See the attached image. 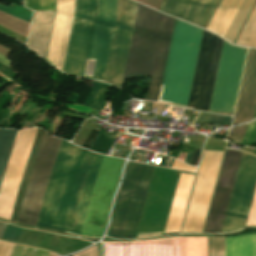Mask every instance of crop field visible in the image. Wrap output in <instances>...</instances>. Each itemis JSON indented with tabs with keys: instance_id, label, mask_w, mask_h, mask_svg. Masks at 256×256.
I'll use <instances>...</instances> for the list:
<instances>
[{
	"instance_id": "1",
	"label": "crop field",
	"mask_w": 256,
	"mask_h": 256,
	"mask_svg": "<svg viewBox=\"0 0 256 256\" xmlns=\"http://www.w3.org/2000/svg\"><path fill=\"white\" fill-rule=\"evenodd\" d=\"M202 29L176 21L159 100L186 106ZM223 40L204 31L187 107L209 109Z\"/></svg>"
},
{
	"instance_id": "2",
	"label": "crop field",
	"mask_w": 256,
	"mask_h": 256,
	"mask_svg": "<svg viewBox=\"0 0 256 256\" xmlns=\"http://www.w3.org/2000/svg\"><path fill=\"white\" fill-rule=\"evenodd\" d=\"M162 17V14L137 4L123 81L133 76H151ZM174 21V18L163 17L151 84L144 99H158Z\"/></svg>"
},
{
	"instance_id": "3",
	"label": "crop field",
	"mask_w": 256,
	"mask_h": 256,
	"mask_svg": "<svg viewBox=\"0 0 256 256\" xmlns=\"http://www.w3.org/2000/svg\"><path fill=\"white\" fill-rule=\"evenodd\" d=\"M88 152L62 141L37 226L66 230Z\"/></svg>"
},
{
	"instance_id": "4",
	"label": "crop field",
	"mask_w": 256,
	"mask_h": 256,
	"mask_svg": "<svg viewBox=\"0 0 256 256\" xmlns=\"http://www.w3.org/2000/svg\"><path fill=\"white\" fill-rule=\"evenodd\" d=\"M153 168L133 162L126 164L108 236L135 237Z\"/></svg>"
},
{
	"instance_id": "5",
	"label": "crop field",
	"mask_w": 256,
	"mask_h": 256,
	"mask_svg": "<svg viewBox=\"0 0 256 256\" xmlns=\"http://www.w3.org/2000/svg\"><path fill=\"white\" fill-rule=\"evenodd\" d=\"M123 162L103 157L80 235L101 237Z\"/></svg>"
},
{
	"instance_id": "6",
	"label": "crop field",
	"mask_w": 256,
	"mask_h": 256,
	"mask_svg": "<svg viewBox=\"0 0 256 256\" xmlns=\"http://www.w3.org/2000/svg\"><path fill=\"white\" fill-rule=\"evenodd\" d=\"M102 256H207V237L103 242Z\"/></svg>"
},
{
	"instance_id": "7",
	"label": "crop field",
	"mask_w": 256,
	"mask_h": 256,
	"mask_svg": "<svg viewBox=\"0 0 256 256\" xmlns=\"http://www.w3.org/2000/svg\"><path fill=\"white\" fill-rule=\"evenodd\" d=\"M60 140L49 137L47 132H44L17 222L36 225Z\"/></svg>"
},
{
	"instance_id": "8",
	"label": "crop field",
	"mask_w": 256,
	"mask_h": 256,
	"mask_svg": "<svg viewBox=\"0 0 256 256\" xmlns=\"http://www.w3.org/2000/svg\"><path fill=\"white\" fill-rule=\"evenodd\" d=\"M246 52L223 43L209 111L233 112Z\"/></svg>"
},
{
	"instance_id": "9",
	"label": "crop field",
	"mask_w": 256,
	"mask_h": 256,
	"mask_svg": "<svg viewBox=\"0 0 256 256\" xmlns=\"http://www.w3.org/2000/svg\"><path fill=\"white\" fill-rule=\"evenodd\" d=\"M136 3L118 0L117 17L109 50L104 82L121 86L130 37L135 18Z\"/></svg>"
},
{
	"instance_id": "10",
	"label": "crop field",
	"mask_w": 256,
	"mask_h": 256,
	"mask_svg": "<svg viewBox=\"0 0 256 256\" xmlns=\"http://www.w3.org/2000/svg\"><path fill=\"white\" fill-rule=\"evenodd\" d=\"M255 186L256 157L244 152L221 233L245 227Z\"/></svg>"
},
{
	"instance_id": "11",
	"label": "crop field",
	"mask_w": 256,
	"mask_h": 256,
	"mask_svg": "<svg viewBox=\"0 0 256 256\" xmlns=\"http://www.w3.org/2000/svg\"><path fill=\"white\" fill-rule=\"evenodd\" d=\"M117 0H97V16L95 20L94 30L90 43L89 53L84 75L92 77L95 63V71L93 78L102 81L105 70L108 50L110 46L113 26L116 17Z\"/></svg>"
},
{
	"instance_id": "12",
	"label": "crop field",
	"mask_w": 256,
	"mask_h": 256,
	"mask_svg": "<svg viewBox=\"0 0 256 256\" xmlns=\"http://www.w3.org/2000/svg\"><path fill=\"white\" fill-rule=\"evenodd\" d=\"M240 151L226 150L203 233H220L242 157Z\"/></svg>"
},
{
	"instance_id": "13",
	"label": "crop field",
	"mask_w": 256,
	"mask_h": 256,
	"mask_svg": "<svg viewBox=\"0 0 256 256\" xmlns=\"http://www.w3.org/2000/svg\"><path fill=\"white\" fill-rule=\"evenodd\" d=\"M95 0H77L76 15L65 65V73L82 75L89 41Z\"/></svg>"
},
{
	"instance_id": "14",
	"label": "crop field",
	"mask_w": 256,
	"mask_h": 256,
	"mask_svg": "<svg viewBox=\"0 0 256 256\" xmlns=\"http://www.w3.org/2000/svg\"><path fill=\"white\" fill-rule=\"evenodd\" d=\"M102 155L89 152L86 165L74 199L67 232L80 234L88 200L96 179V175L102 160Z\"/></svg>"
},
{
	"instance_id": "15",
	"label": "crop field",
	"mask_w": 256,
	"mask_h": 256,
	"mask_svg": "<svg viewBox=\"0 0 256 256\" xmlns=\"http://www.w3.org/2000/svg\"><path fill=\"white\" fill-rule=\"evenodd\" d=\"M56 0H24V5L33 10H55ZM55 11H35L28 47L45 57Z\"/></svg>"
},
{
	"instance_id": "16",
	"label": "crop field",
	"mask_w": 256,
	"mask_h": 256,
	"mask_svg": "<svg viewBox=\"0 0 256 256\" xmlns=\"http://www.w3.org/2000/svg\"><path fill=\"white\" fill-rule=\"evenodd\" d=\"M219 0H164L160 11L205 28Z\"/></svg>"
},
{
	"instance_id": "17",
	"label": "crop field",
	"mask_w": 256,
	"mask_h": 256,
	"mask_svg": "<svg viewBox=\"0 0 256 256\" xmlns=\"http://www.w3.org/2000/svg\"><path fill=\"white\" fill-rule=\"evenodd\" d=\"M241 2L242 0H222L207 30L213 31L223 37Z\"/></svg>"
},
{
	"instance_id": "18",
	"label": "crop field",
	"mask_w": 256,
	"mask_h": 256,
	"mask_svg": "<svg viewBox=\"0 0 256 256\" xmlns=\"http://www.w3.org/2000/svg\"><path fill=\"white\" fill-rule=\"evenodd\" d=\"M225 256H256V234L225 237Z\"/></svg>"
},
{
	"instance_id": "19",
	"label": "crop field",
	"mask_w": 256,
	"mask_h": 256,
	"mask_svg": "<svg viewBox=\"0 0 256 256\" xmlns=\"http://www.w3.org/2000/svg\"><path fill=\"white\" fill-rule=\"evenodd\" d=\"M43 132H44V130H42L40 128L37 129L36 136H35L32 148H31V152H30V155H29V158L27 161V165H26L23 177H22L21 184H20L18 196H17L16 202H15V206H14V209L12 212L11 219H10L11 221H15V222L17 221V217H18L19 210L21 207V203H22V199H23L24 192L26 189L27 181H28L35 157H36V153H37Z\"/></svg>"
},
{
	"instance_id": "20",
	"label": "crop field",
	"mask_w": 256,
	"mask_h": 256,
	"mask_svg": "<svg viewBox=\"0 0 256 256\" xmlns=\"http://www.w3.org/2000/svg\"><path fill=\"white\" fill-rule=\"evenodd\" d=\"M18 130L0 129V183Z\"/></svg>"
},
{
	"instance_id": "21",
	"label": "crop field",
	"mask_w": 256,
	"mask_h": 256,
	"mask_svg": "<svg viewBox=\"0 0 256 256\" xmlns=\"http://www.w3.org/2000/svg\"><path fill=\"white\" fill-rule=\"evenodd\" d=\"M256 0H244L241 4L236 16L230 24L224 38L228 39L233 43L237 33L239 32L242 24L244 23L248 13L250 12L253 4Z\"/></svg>"
},
{
	"instance_id": "22",
	"label": "crop field",
	"mask_w": 256,
	"mask_h": 256,
	"mask_svg": "<svg viewBox=\"0 0 256 256\" xmlns=\"http://www.w3.org/2000/svg\"><path fill=\"white\" fill-rule=\"evenodd\" d=\"M236 44L256 48V6L251 16L249 17L243 31L241 32Z\"/></svg>"
},
{
	"instance_id": "23",
	"label": "crop field",
	"mask_w": 256,
	"mask_h": 256,
	"mask_svg": "<svg viewBox=\"0 0 256 256\" xmlns=\"http://www.w3.org/2000/svg\"><path fill=\"white\" fill-rule=\"evenodd\" d=\"M106 87V84L96 82L94 83V87L91 91L90 96L85 101L83 105L89 106L94 109H100L104 107L107 99L103 93L104 89Z\"/></svg>"
},
{
	"instance_id": "24",
	"label": "crop field",
	"mask_w": 256,
	"mask_h": 256,
	"mask_svg": "<svg viewBox=\"0 0 256 256\" xmlns=\"http://www.w3.org/2000/svg\"><path fill=\"white\" fill-rule=\"evenodd\" d=\"M49 252L16 245L11 256H48Z\"/></svg>"
},
{
	"instance_id": "25",
	"label": "crop field",
	"mask_w": 256,
	"mask_h": 256,
	"mask_svg": "<svg viewBox=\"0 0 256 256\" xmlns=\"http://www.w3.org/2000/svg\"><path fill=\"white\" fill-rule=\"evenodd\" d=\"M209 256H224V237H210Z\"/></svg>"
},
{
	"instance_id": "26",
	"label": "crop field",
	"mask_w": 256,
	"mask_h": 256,
	"mask_svg": "<svg viewBox=\"0 0 256 256\" xmlns=\"http://www.w3.org/2000/svg\"><path fill=\"white\" fill-rule=\"evenodd\" d=\"M22 230V228L8 224L2 238L17 242Z\"/></svg>"
},
{
	"instance_id": "27",
	"label": "crop field",
	"mask_w": 256,
	"mask_h": 256,
	"mask_svg": "<svg viewBox=\"0 0 256 256\" xmlns=\"http://www.w3.org/2000/svg\"><path fill=\"white\" fill-rule=\"evenodd\" d=\"M15 245L0 242V256H10Z\"/></svg>"
},
{
	"instance_id": "28",
	"label": "crop field",
	"mask_w": 256,
	"mask_h": 256,
	"mask_svg": "<svg viewBox=\"0 0 256 256\" xmlns=\"http://www.w3.org/2000/svg\"><path fill=\"white\" fill-rule=\"evenodd\" d=\"M200 151L201 150L195 149V151H194V153H192V155H191V153H188L187 156H186L185 162L186 163L189 162V158H190V155H191V159H190L189 164L197 166L199 155H200Z\"/></svg>"
},
{
	"instance_id": "29",
	"label": "crop field",
	"mask_w": 256,
	"mask_h": 256,
	"mask_svg": "<svg viewBox=\"0 0 256 256\" xmlns=\"http://www.w3.org/2000/svg\"><path fill=\"white\" fill-rule=\"evenodd\" d=\"M73 256H98L96 245L90 247L80 253L74 254Z\"/></svg>"
},
{
	"instance_id": "30",
	"label": "crop field",
	"mask_w": 256,
	"mask_h": 256,
	"mask_svg": "<svg viewBox=\"0 0 256 256\" xmlns=\"http://www.w3.org/2000/svg\"><path fill=\"white\" fill-rule=\"evenodd\" d=\"M97 134H98V131L92 129V131L90 132L89 136L85 140V142L83 144V147L88 149V147L90 146V144L92 143V141L94 140V138L96 137Z\"/></svg>"
},
{
	"instance_id": "31",
	"label": "crop field",
	"mask_w": 256,
	"mask_h": 256,
	"mask_svg": "<svg viewBox=\"0 0 256 256\" xmlns=\"http://www.w3.org/2000/svg\"><path fill=\"white\" fill-rule=\"evenodd\" d=\"M223 117H224V116L212 114L209 123L221 125V124H222Z\"/></svg>"
},
{
	"instance_id": "32",
	"label": "crop field",
	"mask_w": 256,
	"mask_h": 256,
	"mask_svg": "<svg viewBox=\"0 0 256 256\" xmlns=\"http://www.w3.org/2000/svg\"><path fill=\"white\" fill-rule=\"evenodd\" d=\"M167 159H168L167 157H164V156H163L159 166L165 167V166H166ZM173 161H174V160L172 159V160H171L170 167H172Z\"/></svg>"
},
{
	"instance_id": "33",
	"label": "crop field",
	"mask_w": 256,
	"mask_h": 256,
	"mask_svg": "<svg viewBox=\"0 0 256 256\" xmlns=\"http://www.w3.org/2000/svg\"><path fill=\"white\" fill-rule=\"evenodd\" d=\"M0 62L5 64L6 66L10 67V60L4 58L3 56L0 55Z\"/></svg>"
},
{
	"instance_id": "34",
	"label": "crop field",
	"mask_w": 256,
	"mask_h": 256,
	"mask_svg": "<svg viewBox=\"0 0 256 256\" xmlns=\"http://www.w3.org/2000/svg\"><path fill=\"white\" fill-rule=\"evenodd\" d=\"M125 152H126V150H120V149H119L118 153L116 154V157L123 158Z\"/></svg>"
},
{
	"instance_id": "35",
	"label": "crop field",
	"mask_w": 256,
	"mask_h": 256,
	"mask_svg": "<svg viewBox=\"0 0 256 256\" xmlns=\"http://www.w3.org/2000/svg\"><path fill=\"white\" fill-rule=\"evenodd\" d=\"M230 120H231V117L225 116V117H224L223 124H228V123H230ZM223 124H222V125H223Z\"/></svg>"
},
{
	"instance_id": "36",
	"label": "crop field",
	"mask_w": 256,
	"mask_h": 256,
	"mask_svg": "<svg viewBox=\"0 0 256 256\" xmlns=\"http://www.w3.org/2000/svg\"><path fill=\"white\" fill-rule=\"evenodd\" d=\"M181 173H184V172H181ZM184 174H191V175H195V174H192V173H184ZM171 234H178V233H171ZM164 235H167V234H164Z\"/></svg>"
},
{
	"instance_id": "37",
	"label": "crop field",
	"mask_w": 256,
	"mask_h": 256,
	"mask_svg": "<svg viewBox=\"0 0 256 256\" xmlns=\"http://www.w3.org/2000/svg\"><path fill=\"white\" fill-rule=\"evenodd\" d=\"M130 103H131V102H129V103L127 104V107H126V109H125V110H127V109H128V107H129Z\"/></svg>"
},
{
	"instance_id": "38",
	"label": "crop field",
	"mask_w": 256,
	"mask_h": 256,
	"mask_svg": "<svg viewBox=\"0 0 256 256\" xmlns=\"http://www.w3.org/2000/svg\"><path fill=\"white\" fill-rule=\"evenodd\" d=\"M256 117V108H255V113H254V117L253 118H255Z\"/></svg>"
},
{
	"instance_id": "39",
	"label": "crop field",
	"mask_w": 256,
	"mask_h": 256,
	"mask_svg": "<svg viewBox=\"0 0 256 256\" xmlns=\"http://www.w3.org/2000/svg\"><path fill=\"white\" fill-rule=\"evenodd\" d=\"M254 142H256V139H255V141Z\"/></svg>"
},
{
	"instance_id": "40",
	"label": "crop field",
	"mask_w": 256,
	"mask_h": 256,
	"mask_svg": "<svg viewBox=\"0 0 256 256\" xmlns=\"http://www.w3.org/2000/svg\"><path fill=\"white\" fill-rule=\"evenodd\" d=\"M72 256V255H71Z\"/></svg>"
}]
</instances>
